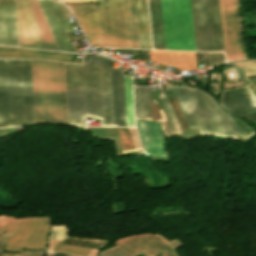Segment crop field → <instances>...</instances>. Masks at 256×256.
Masks as SVG:
<instances>
[{"mask_svg":"<svg viewBox=\"0 0 256 256\" xmlns=\"http://www.w3.org/2000/svg\"><path fill=\"white\" fill-rule=\"evenodd\" d=\"M97 4L66 3L91 40L92 46L130 48L124 0Z\"/></svg>","mask_w":256,"mask_h":256,"instance_id":"3","label":"crop field"},{"mask_svg":"<svg viewBox=\"0 0 256 256\" xmlns=\"http://www.w3.org/2000/svg\"><path fill=\"white\" fill-rule=\"evenodd\" d=\"M10 235H6V234H2L1 238H0V256L2 254L3 248L7 242V240L9 239Z\"/></svg>","mask_w":256,"mask_h":256,"instance_id":"32","label":"crop field"},{"mask_svg":"<svg viewBox=\"0 0 256 256\" xmlns=\"http://www.w3.org/2000/svg\"><path fill=\"white\" fill-rule=\"evenodd\" d=\"M160 92H161V96L160 97H162L163 96L162 88H160ZM159 99H160L163 107L165 108V110H166V112L168 114V117L170 119V123H171V126H172L174 134L181 133V131H180L179 127H178L177 120H176V118H175V116H174V114H173V112H172V110H171V108H170L166 98L163 97V98H159Z\"/></svg>","mask_w":256,"mask_h":256,"instance_id":"28","label":"crop field"},{"mask_svg":"<svg viewBox=\"0 0 256 256\" xmlns=\"http://www.w3.org/2000/svg\"><path fill=\"white\" fill-rule=\"evenodd\" d=\"M150 56L153 62L179 69H196L194 53L150 51Z\"/></svg>","mask_w":256,"mask_h":256,"instance_id":"15","label":"crop field"},{"mask_svg":"<svg viewBox=\"0 0 256 256\" xmlns=\"http://www.w3.org/2000/svg\"><path fill=\"white\" fill-rule=\"evenodd\" d=\"M10 126L34 123L30 60H6Z\"/></svg>","mask_w":256,"mask_h":256,"instance_id":"5","label":"crop field"},{"mask_svg":"<svg viewBox=\"0 0 256 256\" xmlns=\"http://www.w3.org/2000/svg\"><path fill=\"white\" fill-rule=\"evenodd\" d=\"M154 49H165L160 0H148Z\"/></svg>","mask_w":256,"mask_h":256,"instance_id":"17","label":"crop field"},{"mask_svg":"<svg viewBox=\"0 0 256 256\" xmlns=\"http://www.w3.org/2000/svg\"><path fill=\"white\" fill-rule=\"evenodd\" d=\"M247 80H250V79H256V76H249V77H246Z\"/></svg>","mask_w":256,"mask_h":256,"instance_id":"34","label":"crop field"},{"mask_svg":"<svg viewBox=\"0 0 256 256\" xmlns=\"http://www.w3.org/2000/svg\"><path fill=\"white\" fill-rule=\"evenodd\" d=\"M98 54H84L82 71L86 117L94 119L91 68ZM114 59L98 55L92 68L95 119L113 126L110 70ZM81 65L65 63L68 124L85 125Z\"/></svg>","mask_w":256,"mask_h":256,"instance_id":"2","label":"crop field"},{"mask_svg":"<svg viewBox=\"0 0 256 256\" xmlns=\"http://www.w3.org/2000/svg\"><path fill=\"white\" fill-rule=\"evenodd\" d=\"M115 244L132 255L144 251L153 256H176L164 239L149 233L119 238Z\"/></svg>","mask_w":256,"mask_h":256,"instance_id":"10","label":"crop field"},{"mask_svg":"<svg viewBox=\"0 0 256 256\" xmlns=\"http://www.w3.org/2000/svg\"><path fill=\"white\" fill-rule=\"evenodd\" d=\"M63 2H96V0H61Z\"/></svg>","mask_w":256,"mask_h":256,"instance_id":"33","label":"crop field"},{"mask_svg":"<svg viewBox=\"0 0 256 256\" xmlns=\"http://www.w3.org/2000/svg\"><path fill=\"white\" fill-rule=\"evenodd\" d=\"M19 46L46 49L30 0H15Z\"/></svg>","mask_w":256,"mask_h":256,"instance_id":"8","label":"crop field"},{"mask_svg":"<svg viewBox=\"0 0 256 256\" xmlns=\"http://www.w3.org/2000/svg\"><path fill=\"white\" fill-rule=\"evenodd\" d=\"M189 101L201 135L236 137L222 109L209 95L188 88Z\"/></svg>","mask_w":256,"mask_h":256,"instance_id":"6","label":"crop field"},{"mask_svg":"<svg viewBox=\"0 0 256 256\" xmlns=\"http://www.w3.org/2000/svg\"><path fill=\"white\" fill-rule=\"evenodd\" d=\"M19 254H7L6 256H18Z\"/></svg>","mask_w":256,"mask_h":256,"instance_id":"35","label":"crop field"},{"mask_svg":"<svg viewBox=\"0 0 256 256\" xmlns=\"http://www.w3.org/2000/svg\"><path fill=\"white\" fill-rule=\"evenodd\" d=\"M131 48H139L133 0H125Z\"/></svg>","mask_w":256,"mask_h":256,"instance_id":"22","label":"crop field"},{"mask_svg":"<svg viewBox=\"0 0 256 256\" xmlns=\"http://www.w3.org/2000/svg\"><path fill=\"white\" fill-rule=\"evenodd\" d=\"M122 70H111L114 126H126Z\"/></svg>","mask_w":256,"mask_h":256,"instance_id":"14","label":"crop field"},{"mask_svg":"<svg viewBox=\"0 0 256 256\" xmlns=\"http://www.w3.org/2000/svg\"><path fill=\"white\" fill-rule=\"evenodd\" d=\"M137 118L151 119L148 87L135 86Z\"/></svg>","mask_w":256,"mask_h":256,"instance_id":"20","label":"crop field"},{"mask_svg":"<svg viewBox=\"0 0 256 256\" xmlns=\"http://www.w3.org/2000/svg\"><path fill=\"white\" fill-rule=\"evenodd\" d=\"M31 3H32L33 9H34V12H35V15H36V18H37V21H38V24H39V27H40L45 45H46V48L47 49L58 50L56 45H55V42L52 38L50 30L47 26V23L44 19V16L41 12V9L39 7V4H38L37 0H31Z\"/></svg>","mask_w":256,"mask_h":256,"instance_id":"21","label":"crop field"},{"mask_svg":"<svg viewBox=\"0 0 256 256\" xmlns=\"http://www.w3.org/2000/svg\"><path fill=\"white\" fill-rule=\"evenodd\" d=\"M9 126L5 60H0V127Z\"/></svg>","mask_w":256,"mask_h":256,"instance_id":"19","label":"crop field"},{"mask_svg":"<svg viewBox=\"0 0 256 256\" xmlns=\"http://www.w3.org/2000/svg\"><path fill=\"white\" fill-rule=\"evenodd\" d=\"M0 44L18 46L14 0H0Z\"/></svg>","mask_w":256,"mask_h":256,"instance_id":"12","label":"crop field"},{"mask_svg":"<svg viewBox=\"0 0 256 256\" xmlns=\"http://www.w3.org/2000/svg\"><path fill=\"white\" fill-rule=\"evenodd\" d=\"M140 48L152 49L147 0H134Z\"/></svg>","mask_w":256,"mask_h":256,"instance_id":"16","label":"crop field"},{"mask_svg":"<svg viewBox=\"0 0 256 256\" xmlns=\"http://www.w3.org/2000/svg\"><path fill=\"white\" fill-rule=\"evenodd\" d=\"M0 57H40L70 61L71 54L0 47Z\"/></svg>","mask_w":256,"mask_h":256,"instance_id":"18","label":"crop field"},{"mask_svg":"<svg viewBox=\"0 0 256 256\" xmlns=\"http://www.w3.org/2000/svg\"><path fill=\"white\" fill-rule=\"evenodd\" d=\"M137 128L144 149L149 154L163 156V135L159 122L137 120Z\"/></svg>","mask_w":256,"mask_h":256,"instance_id":"13","label":"crop field"},{"mask_svg":"<svg viewBox=\"0 0 256 256\" xmlns=\"http://www.w3.org/2000/svg\"><path fill=\"white\" fill-rule=\"evenodd\" d=\"M59 50L75 52L65 31H74L60 4L51 0H38Z\"/></svg>","mask_w":256,"mask_h":256,"instance_id":"9","label":"crop field"},{"mask_svg":"<svg viewBox=\"0 0 256 256\" xmlns=\"http://www.w3.org/2000/svg\"><path fill=\"white\" fill-rule=\"evenodd\" d=\"M35 123L67 124L64 63L31 60Z\"/></svg>","mask_w":256,"mask_h":256,"instance_id":"4","label":"crop field"},{"mask_svg":"<svg viewBox=\"0 0 256 256\" xmlns=\"http://www.w3.org/2000/svg\"><path fill=\"white\" fill-rule=\"evenodd\" d=\"M211 65L225 61L223 53H209Z\"/></svg>","mask_w":256,"mask_h":256,"instance_id":"31","label":"crop field"},{"mask_svg":"<svg viewBox=\"0 0 256 256\" xmlns=\"http://www.w3.org/2000/svg\"><path fill=\"white\" fill-rule=\"evenodd\" d=\"M226 114L230 119L235 132L239 134L242 138L254 133L242 120L232 116L228 112H226Z\"/></svg>","mask_w":256,"mask_h":256,"instance_id":"25","label":"crop field"},{"mask_svg":"<svg viewBox=\"0 0 256 256\" xmlns=\"http://www.w3.org/2000/svg\"><path fill=\"white\" fill-rule=\"evenodd\" d=\"M58 243H75V244H81V245L103 247L107 243V241L67 237Z\"/></svg>","mask_w":256,"mask_h":256,"instance_id":"26","label":"crop field"},{"mask_svg":"<svg viewBox=\"0 0 256 256\" xmlns=\"http://www.w3.org/2000/svg\"><path fill=\"white\" fill-rule=\"evenodd\" d=\"M177 96L179 98V101H180L182 110L184 112L186 121L188 123V126L193 127V128H197L194 117H193V113H192V110H191V107H190V104H189V101H188L187 88L178 86ZM182 105L186 109L187 113L185 112Z\"/></svg>","mask_w":256,"mask_h":256,"instance_id":"24","label":"crop field"},{"mask_svg":"<svg viewBox=\"0 0 256 256\" xmlns=\"http://www.w3.org/2000/svg\"><path fill=\"white\" fill-rule=\"evenodd\" d=\"M166 49L224 51L227 61L245 58L239 0H161Z\"/></svg>","mask_w":256,"mask_h":256,"instance_id":"1","label":"crop field"},{"mask_svg":"<svg viewBox=\"0 0 256 256\" xmlns=\"http://www.w3.org/2000/svg\"><path fill=\"white\" fill-rule=\"evenodd\" d=\"M253 94V93H252ZM248 86L222 91V108L256 123V99Z\"/></svg>","mask_w":256,"mask_h":256,"instance_id":"11","label":"crop field"},{"mask_svg":"<svg viewBox=\"0 0 256 256\" xmlns=\"http://www.w3.org/2000/svg\"><path fill=\"white\" fill-rule=\"evenodd\" d=\"M244 76L256 75V59L255 60H247L240 62H233Z\"/></svg>","mask_w":256,"mask_h":256,"instance_id":"27","label":"crop field"},{"mask_svg":"<svg viewBox=\"0 0 256 256\" xmlns=\"http://www.w3.org/2000/svg\"><path fill=\"white\" fill-rule=\"evenodd\" d=\"M18 218L6 217L0 219V230L1 232H12L14 225Z\"/></svg>","mask_w":256,"mask_h":256,"instance_id":"30","label":"crop field"},{"mask_svg":"<svg viewBox=\"0 0 256 256\" xmlns=\"http://www.w3.org/2000/svg\"><path fill=\"white\" fill-rule=\"evenodd\" d=\"M50 218H19L15 231L6 244V251L20 248L44 249Z\"/></svg>","mask_w":256,"mask_h":256,"instance_id":"7","label":"crop field"},{"mask_svg":"<svg viewBox=\"0 0 256 256\" xmlns=\"http://www.w3.org/2000/svg\"><path fill=\"white\" fill-rule=\"evenodd\" d=\"M91 248L79 247V246H71V245H55L53 250L57 251H67L74 254L87 256Z\"/></svg>","mask_w":256,"mask_h":256,"instance_id":"29","label":"crop field"},{"mask_svg":"<svg viewBox=\"0 0 256 256\" xmlns=\"http://www.w3.org/2000/svg\"><path fill=\"white\" fill-rule=\"evenodd\" d=\"M127 76V75H126ZM124 76L127 126H134L132 76Z\"/></svg>","mask_w":256,"mask_h":256,"instance_id":"23","label":"crop field"}]
</instances>
